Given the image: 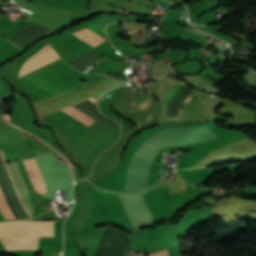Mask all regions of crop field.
Listing matches in <instances>:
<instances>
[{
  "instance_id": "1",
  "label": "crop field",
  "mask_w": 256,
  "mask_h": 256,
  "mask_svg": "<svg viewBox=\"0 0 256 256\" xmlns=\"http://www.w3.org/2000/svg\"><path fill=\"white\" fill-rule=\"evenodd\" d=\"M54 221H13L0 223V242L6 250H36L38 236L53 237Z\"/></svg>"
},
{
  "instance_id": "2",
  "label": "crop field",
  "mask_w": 256,
  "mask_h": 256,
  "mask_svg": "<svg viewBox=\"0 0 256 256\" xmlns=\"http://www.w3.org/2000/svg\"><path fill=\"white\" fill-rule=\"evenodd\" d=\"M171 145L194 143L203 140H212L217 137L207 127L167 129Z\"/></svg>"
},
{
  "instance_id": "3",
  "label": "crop field",
  "mask_w": 256,
  "mask_h": 256,
  "mask_svg": "<svg viewBox=\"0 0 256 256\" xmlns=\"http://www.w3.org/2000/svg\"><path fill=\"white\" fill-rule=\"evenodd\" d=\"M20 163H21V165L24 169V172H25V174L28 178V181H29L32 189L38 190V189L43 188L45 185L43 186L44 183L42 184L43 180L41 181L42 178L40 179V176H39L40 173L38 174V171H37L38 168L36 169V166L34 164L33 159L31 158V159H27V160H22V161H20ZM0 193H1L2 199L4 201V204L6 206V209L8 211L10 219L15 220L14 219L15 216L13 217V214H12V211H11L12 208L10 209V206H9L8 201H7V198H6V195L4 193L1 182H0ZM1 196H0L1 211L4 215V217L6 218V220H10L9 217H8L7 211L5 209V206L3 204V201L1 199Z\"/></svg>"
},
{
  "instance_id": "4",
  "label": "crop field",
  "mask_w": 256,
  "mask_h": 256,
  "mask_svg": "<svg viewBox=\"0 0 256 256\" xmlns=\"http://www.w3.org/2000/svg\"><path fill=\"white\" fill-rule=\"evenodd\" d=\"M58 58L60 57L48 43L25 62L18 74V77L20 78Z\"/></svg>"
},
{
  "instance_id": "5",
  "label": "crop field",
  "mask_w": 256,
  "mask_h": 256,
  "mask_svg": "<svg viewBox=\"0 0 256 256\" xmlns=\"http://www.w3.org/2000/svg\"><path fill=\"white\" fill-rule=\"evenodd\" d=\"M106 207L113 220L117 222L128 221V217L116 192H108L100 190Z\"/></svg>"
},
{
  "instance_id": "6",
  "label": "crop field",
  "mask_w": 256,
  "mask_h": 256,
  "mask_svg": "<svg viewBox=\"0 0 256 256\" xmlns=\"http://www.w3.org/2000/svg\"><path fill=\"white\" fill-rule=\"evenodd\" d=\"M72 34L76 35L77 37L81 38L82 40H84L85 42L89 43L90 45H92L94 47L97 46L98 44L106 41L102 37L98 36L97 34L91 32L87 29L77 31Z\"/></svg>"
},
{
  "instance_id": "7",
  "label": "crop field",
  "mask_w": 256,
  "mask_h": 256,
  "mask_svg": "<svg viewBox=\"0 0 256 256\" xmlns=\"http://www.w3.org/2000/svg\"><path fill=\"white\" fill-rule=\"evenodd\" d=\"M61 110L88 126L94 121L87 115L83 114L82 112H80L79 110H77L71 106L61 109Z\"/></svg>"
},
{
  "instance_id": "8",
  "label": "crop field",
  "mask_w": 256,
  "mask_h": 256,
  "mask_svg": "<svg viewBox=\"0 0 256 256\" xmlns=\"http://www.w3.org/2000/svg\"><path fill=\"white\" fill-rule=\"evenodd\" d=\"M184 87V84L181 82H177L172 89L169 91V93L166 95V97L163 99L162 104H163V112L167 114V109L172 101V99L181 91V89Z\"/></svg>"
},
{
  "instance_id": "9",
  "label": "crop field",
  "mask_w": 256,
  "mask_h": 256,
  "mask_svg": "<svg viewBox=\"0 0 256 256\" xmlns=\"http://www.w3.org/2000/svg\"><path fill=\"white\" fill-rule=\"evenodd\" d=\"M150 256H168L167 255V251H161V252H157V253H154V254H150Z\"/></svg>"
}]
</instances>
